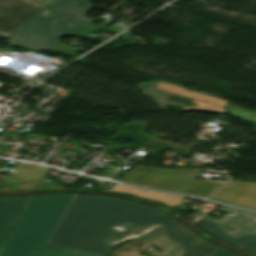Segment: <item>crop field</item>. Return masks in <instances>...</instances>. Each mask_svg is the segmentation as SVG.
<instances>
[{
    "instance_id": "8a807250",
    "label": "crop field",
    "mask_w": 256,
    "mask_h": 256,
    "mask_svg": "<svg viewBox=\"0 0 256 256\" xmlns=\"http://www.w3.org/2000/svg\"><path fill=\"white\" fill-rule=\"evenodd\" d=\"M172 220L164 212L139 203L78 194L49 242L103 255L117 243L143 236ZM116 225L125 229L113 228Z\"/></svg>"
},
{
    "instance_id": "ac0d7876",
    "label": "crop field",
    "mask_w": 256,
    "mask_h": 256,
    "mask_svg": "<svg viewBox=\"0 0 256 256\" xmlns=\"http://www.w3.org/2000/svg\"><path fill=\"white\" fill-rule=\"evenodd\" d=\"M74 196H32L1 256H99L46 243Z\"/></svg>"
},
{
    "instance_id": "34b2d1b8",
    "label": "crop field",
    "mask_w": 256,
    "mask_h": 256,
    "mask_svg": "<svg viewBox=\"0 0 256 256\" xmlns=\"http://www.w3.org/2000/svg\"><path fill=\"white\" fill-rule=\"evenodd\" d=\"M82 28L45 7L8 35L6 43L22 48L53 51L61 43L58 40L60 36H74Z\"/></svg>"
},
{
    "instance_id": "412701ff",
    "label": "crop field",
    "mask_w": 256,
    "mask_h": 256,
    "mask_svg": "<svg viewBox=\"0 0 256 256\" xmlns=\"http://www.w3.org/2000/svg\"><path fill=\"white\" fill-rule=\"evenodd\" d=\"M141 239L167 249L158 256H211L222 248L176 220Z\"/></svg>"
},
{
    "instance_id": "f4fd0767",
    "label": "crop field",
    "mask_w": 256,
    "mask_h": 256,
    "mask_svg": "<svg viewBox=\"0 0 256 256\" xmlns=\"http://www.w3.org/2000/svg\"><path fill=\"white\" fill-rule=\"evenodd\" d=\"M219 210L230 213L221 221L205 217L197 225L218 238L256 254V215L224 206Z\"/></svg>"
},
{
    "instance_id": "dd49c442",
    "label": "crop field",
    "mask_w": 256,
    "mask_h": 256,
    "mask_svg": "<svg viewBox=\"0 0 256 256\" xmlns=\"http://www.w3.org/2000/svg\"><path fill=\"white\" fill-rule=\"evenodd\" d=\"M202 170L203 169H166L149 186L206 197L221 183L194 181Z\"/></svg>"
},
{
    "instance_id": "e52e79f7",
    "label": "crop field",
    "mask_w": 256,
    "mask_h": 256,
    "mask_svg": "<svg viewBox=\"0 0 256 256\" xmlns=\"http://www.w3.org/2000/svg\"><path fill=\"white\" fill-rule=\"evenodd\" d=\"M44 7L31 0H0V34L7 36Z\"/></svg>"
},
{
    "instance_id": "d8731c3e",
    "label": "crop field",
    "mask_w": 256,
    "mask_h": 256,
    "mask_svg": "<svg viewBox=\"0 0 256 256\" xmlns=\"http://www.w3.org/2000/svg\"><path fill=\"white\" fill-rule=\"evenodd\" d=\"M210 199L256 210V184L228 182Z\"/></svg>"
},
{
    "instance_id": "5a996713",
    "label": "crop field",
    "mask_w": 256,
    "mask_h": 256,
    "mask_svg": "<svg viewBox=\"0 0 256 256\" xmlns=\"http://www.w3.org/2000/svg\"><path fill=\"white\" fill-rule=\"evenodd\" d=\"M30 196L0 197V252Z\"/></svg>"
},
{
    "instance_id": "3316defc",
    "label": "crop field",
    "mask_w": 256,
    "mask_h": 256,
    "mask_svg": "<svg viewBox=\"0 0 256 256\" xmlns=\"http://www.w3.org/2000/svg\"><path fill=\"white\" fill-rule=\"evenodd\" d=\"M46 7L79 26L85 27L94 20L85 17L93 7L86 0H54Z\"/></svg>"
},
{
    "instance_id": "28ad6ade",
    "label": "crop field",
    "mask_w": 256,
    "mask_h": 256,
    "mask_svg": "<svg viewBox=\"0 0 256 256\" xmlns=\"http://www.w3.org/2000/svg\"><path fill=\"white\" fill-rule=\"evenodd\" d=\"M157 88L168 92L176 93L181 96L193 99L192 102L198 104L197 107H184L182 109L196 110L213 114L223 115L226 111L218 106H225V101L217 100L211 97L199 95L190 91L182 90L178 87L159 82Z\"/></svg>"
},
{
    "instance_id": "d1516ede",
    "label": "crop field",
    "mask_w": 256,
    "mask_h": 256,
    "mask_svg": "<svg viewBox=\"0 0 256 256\" xmlns=\"http://www.w3.org/2000/svg\"><path fill=\"white\" fill-rule=\"evenodd\" d=\"M47 169L19 163L9 175L21 182L17 189H31Z\"/></svg>"
},
{
    "instance_id": "22f410ed",
    "label": "crop field",
    "mask_w": 256,
    "mask_h": 256,
    "mask_svg": "<svg viewBox=\"0 0 256 256\" xmlns=\"http://www.w3.org/2000/svg\"><path fill=\"white\" fill-rule=\"evenodd\" d=\"M165 169L136 166L127 173L121 180L148 186Z\"/></svg>"
},
{
    "instance_id": "cbeb9de0",
    "label": "crop field",
    "mask_w": 256,
    "mask_h": 256,
    "mask_svg": "<svg viewBox=\"0 0 256 256\" xmlns=\"http://www.w3.org/2000/svg\"><path fill=\"white\" fill-rule=\"evenodd\" d=\"M111 190L123 191L126 193L135 194L142 197L158 200L172 207L176 205L181 199H183L181 197H174L166 194L143 191V190H139V189H135V188L119 185V184H116ZM165 197H168V198L166 199Z\"/></svg>"
},
{
    "instance_id": "5142ce71",
    "label": "crop field",
    "mask_w": 256,
    "mask_h": 256,
    "mask_svg": "<svg viewBox=\"0 0 256 256\" xmlns=\"http://www.w3.org/2000/svg\"><path fill=\"white\" fill-rule=\"evenodd\" d=\"M150 244L137 239L120 248H118L111 256H144L140 254Z\"/></svg>"
},
{
    "instance_id": "d9b57169",
    "label": "crop field",
    "mask_w": 256,
    "mask_h": 256,
    "mask_svg": "<svg viewBox=\"0 0 256 256\" xmlns=\"http://www.w3.org/2000/svg\"><path fill=\"white\" fill-rule=\"evenodd\" d=\"M213 256H241V255L223 248L217 253H215Z\"/></svg>"
},
{
    "instance_id": "733c2abd",
    "label": "crop field",
    "mask_w": 256,
    "mask_h": 256,
    "mask_svg": "<svg viewBox=\"0 0 256 256\" xmlns=\"http://www.w3.org/2000/svg\"><path fill=\"white\" fill-rule=\"evenodd\" d=\"M36 1H39L41 3H44L46 5H48L50 2H52L53 0H36Z\"/></svg>"
}]
</instances>
